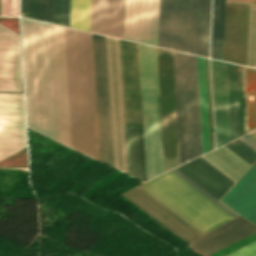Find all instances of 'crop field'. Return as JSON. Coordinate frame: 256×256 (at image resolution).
Masks as SVG:
<instances>
[{
  "instance_id": "7",
  "label": "crop field",
  "mask_w": 256,
  "mask_h": 256,
  "mask_svg": "<svg viewBox=\"0 0 256 256\" xmlns=\"http://www.w3.org/2000/svg\"><path fill=\"white\" fill-rule=\"evenodd\" d=\"M147 181L164 173L156 48L138 46Z\"/></svg>"
},
{
  "instance_id": "19",
  "label": "crop field",
  "mask_w": 256,
  "mask_h": 256,
  "mask_svg": "<svg viewBox=\"0 0 256 256\" xmlns=\"http://www.w3.org/2000/svg\"><path fill=\"white\" fill-rule=\"evenodd\" d=\"M203 153L210 150L204 58L197 56Z\"/></svg>"
},
{
  "instance_id": "26",
  "label": "crop field",
  "mask_w": 256,
  "mask_h": 256,
  "mask_svg": "<svg viewBox=\"0 0 256 256\" xmlns=\"http://www.w3.org/2000/svg\"><path fill=\"white\" fill-rule=\"evenodd\" d=\"M0 15L18 16V0H1Z\"/></svg>"
},
{
  "instance_id": "11",
  "label": "crop field",
  "mask_w": 256,
  "mask_h": 256,
  "mask_svg": "<svg viewBox=\"0 0 256 256\" xmlns=\"http://www.w3.org/2000/svg\"><path fill=\"white\" fill-rule=\"evenodd\" d=\"M57 140L71 147L63 27L50 24Z\"/></svg>"
},
{
  "instance_id": "6",
  "label": "crop field",
  "mask_w": 256,
  "mask_h": 256,
  "mask_svg": "<svg viewBox=\"0 0 256 256\" xmlns=\"http://www.w3.org/2000/svg\"><path fill=\"white\" fill-rule=\"evenodd\" d=\"M173 59L181 165L202 154L197 64L196 56L180 52Z\"/></svg>"
},
{
  "instance_id": "16",
  "label": "crop field",
  "mask_w": 256,
  "mask_h": 256,
  "mask_svg": "<svg viewBox=\"0 0 256 256\" xmlns=\"http://www.w3.org/2000/svg\"><path fill=\"white\" fill-rule=\"evenodd\" d=\"M177 169L218 200L234 183L201 157Z\"/></svg>"
},
{
  "instance_id": "20",
  "label": "crop field",
  "mask_w": 256,
  "mask_h": 256,
  "mask_svg": "<svg viewBox=\"0 0 256 256\" xmlns=\"http://www.w3.org/2000/svg\"><path fill=\"white\" fill-rule=\"evenodd\" d=\"M225 0H214L211 58L222 60Z\"/></svg>"
},
{
  "instance_id": "13",
  "label": "crop field",
  "mask_w": 256,
  "mask_h": 256,
  "mask_svg": "<svg viewBox=\"0 0 256 256\" xmlns=\"http://www.w3.org/2000/svg\"><path fill=\"white\" fill-rule=\"evenodd\" d=\"M254 232H256V226L238 216L186 246L202 256H207Z\"/></svg>"
},
{
  "instance_id": "18",
  "label": "crop field",
  "mask_w": 256,
  "mask_h": 256,
  "mask_svg": "<svg viewBox=\"0 0 256 256\" xmlns=\"http://www.w3.org/2000/svg\"><path fill=\"white\" fill-rule=\"evenodd\" d=\"M201 157L234 182L251 166L224 145Z\"/></svg>"
},
{
  "instance_id": "27",
  "label": "crop field",
  "mask_w": 256,
  "mask_h": 256,
  "mask_svg": "<svg viewBox=\"0 0 256 256\" xmlns=\"http://www.w3.org/2000/svg\"><path fill=\"white\" fill-rule=\"evenodd\" d=\"M226 256H256V241L226 255Z\"/></svg>"
},
{
  "instance_id": "3",
  "label": "crop field",
  "mask_w": 256,
  "mask_h": 256,
  "mask_svg": "<svg viewBox=\"0 0 256 256\" xmlns=\"http://www.w3.org/2000/svg\"><path fill=\"white\" fill-rule=\"evenodd\" d=\"M19 34L0 24V91L20 92ZM26 147L23 94L0 93V160Z\"/></svg>"
},
{
  "instance_id": "29",
  "label": "crop field",
  "mask_w": 256,
  "mask_h": 256,
  "mask_svg": "<svg viewBox=\"0 0 256 256\" xmlns=\"http://www.w3.org/2000/svg\"><path fill=\"white\" fill-rule=\"evenodd\" d=\"M238 1H256V0H238Z\"/></svg>"
},
{
  "instance_id": "2",
  "label": "crop field",
  "mask_w": 256,
  "mask_h": 256,
  "mask_svg": "<svg viewBox=\"0 0 256 256\" xmlns=\"http://www.w3.org/2000/svg\"><path fill=\"white\" fill-rule=\"evenodd\" d=\"M21 24L28 126L56 139L49 24Z\"/></svg>"
},
{
  "instance_id": "22",
  "label": "crop field",
  "mask_w": 256,
  "mask_h": 256,
  "mask_svg": "<svg viewBox=\"0 0 256 256\" xmlns=\"http://www.w3.org/2000/svg\"><path fill=\"white\" fill-rule=\"evenodd\" d=\"M91 0H71L70 27L89 31Z\"/></svg>"
},
{
  "instance_id": "17",
  "label": "crop field",
  "mask_w": 256,
  "mask_h": 256,
  "mask_svg": "<svg viewBox=\"0 0 256 256\" xmlns=\"http://www.w3.org/2000/svg\"><path fill=\"white\" fill-rule=\"evenodd\" d=\"M38 0H21V16L37 20ZM54 0H39L38 20L53 23ZM70 0H55L54 23L69 27Z\"/></svg>"
},
{
  "instance_id": "8",
  "label": "crop field",
  "mask_w": 256,
  "mask_h": 256,
  "mask_svg": "<svg viewBox=\"0 0 256 256\" xmlns=\"http://www.w3.org/2000/svg\"><path fill=\"white\" fill-rule=\"evenodd\" d=\"M128 173L146 181L137 44L120 40Z\"/></svg>"
},
{
  "instance_id": "5",
  "label": "crop field",
  "mask_w": 256,
  "mask_h": 256,
  "mask_svg": "<svg viewBox=\"0 0 256 256\" xmlns=\"http://www.w3.org/2000/svg\"><path fill=\"white\" fill-rule=\"evenodd\" d=\"M140 187L203 234L233 218L171 171Z\"/></svg>"
},
{
  "instance_id": "15",
  "label": "crop field",
  "mask_w": 256,
  "mask_h": 256,
  "mask_svg": "<svg viewBox=\"0 0 256 256\" xmlns=\"http://www.w3.org/2000/svg\"><path fill=\"white\" fill-rule=\"evenodd\" d=\"M240 216L256 224V163L221 199Z\"/></svg>"
},
{
  "instance_id": "28",
  "label": "crop field",
  "mask_w": 256,
  "mask_h": 256,
  "mask_svg": "<svg viewBox=\"0 0 256 256\" xmlns=\"http://www.w3.org/2000/svg\"><path fill=\"white\" fill-rule=\"evenodd\" d=\"M239 139L256 151V140L253 139L251 136L247 134Z\"/></svg>"
},
{
  "instance_id": "14",
  "label": "crop field",
  "mask_w": 256,
  "mask_h": 256,
  "mask_svg": "<svg viewBox=\"0 0 256 256\" xmlns=\"http://www.w3.org/2000/svg\"><path fill=\"white\" fill-rule=\"evenodd\" d=\"M125 0H92L90 31L123 39Z\"/></svg>"
},
{
  "instance_id": "4",
  "label": "crop field",
  "mask_w": 256,
  "mask_h": 256,
  "mask_svg": "<svg viewBox=\"0 0 256 256\" xmlns=\"http://www.w3.org/2000/svg\"><path fill=\"white\" fill-rule=\"evenodd\" d=\"M210 8L211 0H160L158 46L208 57Z\"/></svg>"
},
{
  "instance_id": "23",
  "label": "crop field",
  "mask_w": 256,
  "mask_h": 256,
  "mask_svg": "<svg viewBox=\"0 0 256 256\" xmlns=\"http://www.w3.org/2000/svg\"><path fill=\"white\" fill-rule=\"evenodd\" d=\"M225 145L251 165L256 161V152H254L240 140L236 139Z\"/></svg>"
},
{
  "instance_id": "24",
  "label": "crop field",
  "mask_w": 256,
  "mask_h": 256,
  "mask_svg": "<svg viewBox=\"0 0 256 256\" xmlns=\"http://www.w3.org/2000/svg\"><path fill=\"white\" fill-rule=\"evenodd\" d=\"M172 171L179 177H181L183 180H185L187 183H189L191 186H193L195 189H197L199 192H201L203 195H205L207 198H209L211 201H213L215 204H217L219 207H221L223 210H225L227 213H229L231 216H237L234 212H232L230 209H228L226 206H224L222 203H220L218 200H216L214 197H212L210 194H208L206 191H204L202 188H200L198 185H196L182 173H180L178 170L174 169Z\"/></svg>"
},
{
  "instance_id": "21",
  "label": "crop field",
  "mask_w": 256,
  "mask_h": 256,
  "mask_svg": "<svg viewBox=\"0 0 256 256\" xmlns=\"http://www.w3.org/2000/svg\"><path fill=\"white\" fill-rule=\"evenodd\" d=\"M248 132L256 128V70L244 68Z\"/></svg>"
},
{
  "instance_id": "10",
  "label": "crop field",
  "mask_w": 256,
  "mask_h": 256,
  "mask_svg": "<svg viewBox=\"0 0 256 256\" xmlns=\"http://www.w3.org/2000/svg\"><path fill=\"white\" fill-rule=\"evenodd\" d=\"M92 41L100 160L113 166L104 36Z\"/></svg>"
},
{
  "instance_id": "12",
  "label": "crop field",
  "mask_w": 256,
  "mask_h": 256,
  "mask_svg": "<svg viewBox=\"0 0 256 256\" xmlns=\"http://www.w3.org/2000/svg\"><path fill=\"white\" fill-rule=\"evenodd\" d=\"M159 0H126L124 39L157 46Z\"/></svg>"
},
{
  "instance_id": "25",
  "label": "crop field",
  "mask_w": 256,
  "mask_h": 256,
  "mask_svg": "<svg viewBox=\"0 0 256 256\" xmlns=\"http://www.w3.org/2000/svg\"><path fill=\"white\" fill-rule=\"evenodd\" d=\"M135 188L138 191H140L142 194H144L146 197H148L150 200H152L154 203H156L158 206H160L162 209H164L169 214H171L173 217H175L177 220H179L181 223H183L185 226H187L189 229H191L193 232H195L197 235L199 236L203 235L194 227H192L190 224H188L186 221H184L182 218H180L178 215H176L174 212H172L170 209H168L166 206H164L162 203H160L158 200H156L154 197H152L150 194H148L146 191H144L142 188H140L139 186Z\"/></svg>"
},
{
  "instance_id": "9",
  "label": "crop field",
  "mask_w": 256,
  "mask_h": 256,
  "mask_svg": "<svg viewBox=\"0 0 256 256\" xmlns=\"http://www.w3.org/2000/svg\"><path fill=\"white\" fill-rule=\"evenodd\" d=\"M166 171L179 165L172 51L157 49Z\"/></svg>"
},
{
  "instance_id": "1",
  "label": "crop field",
  "mask_w": 256,
  "mask_h": 256,
  "mask_svg": "<svg viewBox=\"0 0 256 256\" xmlns=\"http://www.w3.org/2000/svg\"><path fill=\"white\" fill-rule=\"evenodd\" d=\"M64 34L72 147L99 160L91 34Z\"/></svg>"
}]
</instances>
